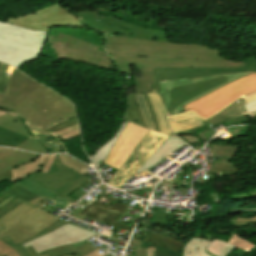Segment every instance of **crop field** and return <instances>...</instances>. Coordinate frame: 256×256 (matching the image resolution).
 <instances>
[{
	"mask_svg": "<svg viewBox=\"0 0 256 256\" xmlns=\"http://www.w3.org/2000/svg\"><path fill=\"white\" fill-rule=\"evenodd\" d=\"M99 251H100V250L97 249V250H95V251H93V252H91V253H89V254H87V255H85V256H103L104 254L107 253V252L103 251L104 253L100 254V253H98ZM101 251H102V250H101Z\"/></svg>",
	"mask_w": 256,
	"mask_h": 256,
	"instance_id": "obj_43",
	"label": "crop field"
},
{
	"mask_svg": "<svg viewBox=\"0 0 256 256\" xmlns=\"http://www.w3.org/2000/svg\"><path fill=\"white\" fill-rule=\"evenodd\" d=\"M58 143V141L55 142L53 139L44 135H36L19 144L16 148L43 153H46L44 148H53V152H59L60 145ZM56 145H58V147H56Z\"/></svg>",
	"mask_w": 256,
	"mask_h": 256,
	"instance_id": "obj_21",
	"label": "crop field"
},
{
	"mask_svg": "<svg viewBox=\"0 0 256 256\" xmlns=\"http://www.w3.org/2000/svg\"><path fill=\"white\" fill-rule=\"evenodd\" d=\"M24 125L19 118L10 115L0 117V145L1 146H16L29 138Z\"/></svg>",
	"mask_w": 256,
	"mask_h": 256,
	"instance_id": "obj_15",
	"label": "crop field"
},
{
	"mask_svg": "<svg viewBox=\"0 0 256 256\" xmlns=\"http://www.w3.org/2000/svg\"><path fill=\"white\" fill-rule=\"evenodd\" d=\"M254 95H256V92H255V93H252V94H250V95H248V96H245V99H246V98H249V97H251V96H254Z\"/></svg>",
	"mask_w": 256,
	"mask_h": 256,
	"instance_id": "obj_48",
	"label": "crop field"
},
{
	"mask_svg": "<svg viewBox=\"0 0 256 256\" xmlns=\"http://www.w3.org/2000/svg\"><path fill=\"white\" fill-rule=\"evenodd\" d=\"M246 71L256 72L255 59H248L246 65L240 66V68H155L152 86L158 92V81L160 80Z\"/></svg>",
	"mask_w": 256,
	"mask_h": 256,
	"instance_id": "obj_11",
	"label": "crop field"
},
{
	"mask_svg": "<svg viewBox=\"0 0 256 256\" xmlns=\"http://www.w3.org/2000/svg\"><path fill=\"white\" fill-rule=\"evenodd\" d=\"M253 106H256V104H253V105H251V106H247L246 109H247V108H250V107H253Z\"/></svg>",
	"mask_w": 256,
	"mask_h": 256,
	"instance_id": "obj_51",
	"label": "crop field"
},
{
	"mask_svg": "<svg viewBox=\"0 0 256 256\" xmlns=\"http://www.w3.org/2000/svg\"><path fill=\"white\" fill-rule=\"evenodd\" d=\"M8 23L33 30L48 32L50 28L64 25L86 27L78 18L71 15L58 4L44 8L38 12L8 18Z\"/></svg>",
	"mask_w": 256,
	"mask_h": 256,
	"instance_id": "obj_7",
	"label": "crop field"
},
{
	"mask_svg": "<svg viewBox=\"0 0 256 256\" xmlns=\"http://www.w3.org/2000/svg\"><path fill=\"white\" fill-rule=\"evenodd\" d=\"M234 247L228 245L226 242L214 239L212 245L207 249V252L215 256H226Z\"/></svg>",
	"mask_w": 256,
	"mask_h": 256,
	"instance_id": "obj_33",
	"label": "crop field"
},
{
	"mask_svg": "<svg viewBox=\"0 0 256 256\" xmlns=\"http://www.w3.org/2000/svg\"><path fill=\"white\" fill-rule=\"evenodd\" d=\"M38 156L37 154L0 148V181L11 178V168L32 161Z\"/></svg>",
	"mask_w": 256,
	"mask_h": 256,
	"instance_id": "obj_16",
	"label": "crop field"
},
{
	"mask_svg": "<svg viewBox=\"0 0 256 256\" xmlns=\"http://www.w3.org/2000/svg\"><path fill=\"white\" fill-rule=\"evenodd\" d=\"M54 135L56 137L63 138L65 140L79 136L80 135L79 126H78V124L74 125L72 127L66 128Z\"/></svg>",
	"mask_w": 256,
	"mask_h": 256,
	"instance_id": "obj_37",
	"label": "crop field"
},
{
	"mask_svg": "<svg viewBox=\"0 0 256 256\" xmlns=\"http://www.w3.org/2000/svg\"><path fill=\"white\" fill-rule=\"evenodd\" d=\"M256 90V73L245 76L227 84L210 94L184 106L185 111L190 110L203 118H208L218 112L227 104L233 102L244 94Z\"/></svg>",
	"mask_w": 256,
	"mask_h": 256,
	"instance_id": "obj_5",
	"label": "crop field"
},
{
	"mask_svg": "<svg viewBox=\"0 0 256 256\" xmlns=\"http://www.w3.org/2000/svg\"><path fill=\"white\" fill-rule=\"evenodd\" d=\"M21 202V200L19 199H14L12 202H10L8 205H6L4 208H2L0 210V217L4 216L6 213H8L9 211H11L14 207H16L17 205H19Z\"/></svg>",
	"mask_w": 256,
	"mask_h": 256,
	"instance_id": "obj_40",
	"label": "crop field"
},
{
	"mask_svg": "<svg viewBox=\"0 0 256 256\" xmlns=\"http://www.w3.org/2000/svg\"><path fill=\"white\" fill-rule=\"evenodd\" d=\"M147 131V129L128 122L104 163L118 170Z\"/></svg>",
	"mask_w": 256,
	"mask_h": 256,
	"instance_id": "obj_12",
	"label": "crop field"
},
{
	"mask_svg": "<svg viewBox=\"0 0 256 256\" xmlns=\"http://www.w3.org/2000/svg\"><path fill=\"white\" fill-rule=\"evenodd\" d=\"M252 73L253 72L223 74L161 81L159 82V95L164 103L167 115L172 116L184 113L183 105L190 103L227 83ZM174 110L177 112L175 113Z\"/></svg>",
	"mask_w": 256,
	"mask_h": 256,
	"instance_id": "obj_2",
	"label": "crop field"
},
{
	"mask_svg": "<svg viewBox=\"0 0 256 256\" xmlns=\"http://www.w3.org/2000/svg\"><path fill=\"white\" fill-rule=\"evenodd\" d=\"M29 78L19 70L14 69L6 95L0 94V107L13 110L41 86Z\"/></svg>",
	"mask_w": 256,
	"mask_h": 256,
	"instance_id": "obj_14",
	"label": "crop field"
},
{
	"mask_svg": "<svg viewBox=\"0 0 256 256\" xmlns=\"http://www.w3.org/2000/svg\"><path fill=\"white\" fill-rule=\"evenodd\" d=\"M127 121H124L120 130L118 131L117 135L111 139L106 145L102 146L97 153L91 157L92 159V163L94 164V166L96 167V169L99 168V166L101 165L102 161L104 160V158L107 156V154L110 152V150L112 149L113 145L115 144V142L117 141L118 137L120 136L123 128L125 127ZM99 162V164H97Z\"/></svg>",
	"mask_w": 256,
	"mask_h": 256,
	"instance_id": "obj_30",
	"label": "crop field"
},
{
	"mask_svg": "<svg viewBox=\"0 0 256 256\" xmlns=\"http://www.w3.org/2000/svg\"><path fill=\"white\" fill-rule=\"evenodd\" d=\"M135 95H136V98H137V101H138V105H139V108L141 110L144 122L146 124V127L149 128V129L155 130L154 124H153V120H152V118L150 116V113L148 111L147 105H146V103L144 101L143 94L141 93V94H135Z\"/></svg>",
	"mask_w": 256,
	"mask_h": 256,
	"instance_id": "obj_34",
	"label": "crop field"
},
{
	"mask_svg": "<svg viewBox=\"0 0 256 256\" xmlns=\"http://www.w3.org/2000/svg\"><path fill=\"white\" fill-rule=\"evenodd\" d=\"M54 156L40 155L36 160L12 169V179H10V182H17L39 171L47 172L54 160Z\"/></svg>",
	"mask_w": 256,
	"mask_h": 256,
	"instance_id": "obj_17",
	"label": "crop field"
},
{
	"mask_svg": "<svg viewBox=\"0 0 256 256\" xmlns=\"http://www.w3.org/2000/svg\"><path fill=\"white\" fill-rule=\"evenodd\" d=\"M246 111H247V113L252 112V111H256V107H253V108L247 109Z\"/></svg>",
	"mask_w": 256,
	"mask_h": 256,
	"instance_id": "obj_47",
	"label": "crop field"
},
{
	"mask_svg": "<svg viewBox=\"0 0 256 256\" xmlns=\"http://www.w3.org/2000/svg\"><path fill=\"white\" fill-rule=\"evenodd\" d=\"M56 220V218L38 209L8 229L0 238L11 236L15 244L21 243L47 228Z\"/></svg>",
	"mask_w": 256,
	"mask_h": 256,
	"instance_id": "obj_13",
	"label": "crop field"
},
{
	"mask_svg": "<svg viewBox=\"0 0 256 256\" xmlns=\"http://www.w3.org/2000/svg\"><path fill=\"white\" fill-rule=\"evenodd\" d=\"M167 135L148 131L132 154L123 163L108 184L121 188L122 185L139 169V167L157 150L167 139Z\"/></svg>",
	"mask_w": 256,
	"mask_h": 256,
	"instance_id": "obj_9",
	"label": "crop field"
},
{
	"mask_svg": "<svg viewBox=\"0 0 256 256\" xmlns=\"http://www.w3.org/2000/svg\"><path fill=\"white\" fill-rule=\"evenodd\" d=\"M237 148L238 147H233V146L210 145V149H216V157L226 156V157L232 158Z\"/></svg>",
	"mask_w": 256,
	"mask_h": 256,
	"instance_id": "obj_36",
	"label": "crop field"
},
{
	"mask_svg": "<svg viewBox=\"0 0 256 256\" xmlns=\"http://www.w3.org/2000/svg\"><path fill=\"white\" fill-rule=\"evenodd\" d=\"M3 114H6V112L0 111V116L3 115ZM10 114H11V115H15V114H13V113H10ZM15 116H17V115H15Z\"/></svg>",
	"mask_w": 256,
	"mask_h": 256,
	"instance_id": "obj_49",
	"label": "crop field"
},
{
	"mask_svg": "<svg viewBox=\"0 0 256 256\" xmlns=\"http://www.w3.org/2000/svg\"><path fill=\"white\" fill-rule=\"evenodd\" d=\"M152 89V92H149L147 94L152 103V107L156 113L158 124L160 126V132L170 134V126L168 124L167 116L164 112L162 103L157 95L156 90L153 87Z\"/></svg>",
	"mask_w": 256,
	"mask_h": 256,
	"instance_id": "obj_26",
	"label": "crop field"
},
{
	"mask_svg": "<svg viewBox=\"0 0 256 256\" xmlns=\"http://www.w3.org/2000/svg\"><path fill=\"white\" fill-rule=\"evenodd\" d=\"M26 125H27V127L29 128V130L35 135V134H44V135H46V136H48V137H50L51 135H49V134H47V133H45V132H42L40 129H38V128H36V127H34V126H32L29 122H24Z\"/></svg>",
	"mask_w": 256,
	"mask_h": 256,
	"instance_id": "obj_41",
	"label": "crop field"
},
{
	"mask_svg": "<svg viewBox=\"0 0 256 256\" xmlns=\"http://www.w3.org/2000/svg\"><path fill=\"white\" fill-rule=\"evenodd\" d=\"M35 209L36 208L25 202L17 206L15 209L0 219V234H2L11 225L15 224Z\"/></svg>",
	"mask_w": 256,
	"mask_h": 256,
	"instance_id": "obj_25",
	"label": "crop field"
},
{
	"mask_svg": "<svg viewBox=\"0 0 256 256\" xmlns=\"http://www.w3.org/2000/svg\"><path fill=\"white\" fill-rule=\"evenodd\" d=\"M255 99H256V96L251 97V98H249V99H246V100H245V103H246V102H249V101H252V100H255Z\"/></svg>",
	"mask_w": 256,
	"mask_h": 256,
	"instance_id": "obj_46",
	"label": "crop field"
},
{
	"mask_svg": "<svg viewBox=\"0 0 256 256\" xmlns=\"http://www.w3.org/2000/svg\"><path fill=\"white\" fill-rule=\"evenodd\" d=\"M249 242L232 233V236L228 243L237 248L249 251L255 247L254 244L249 243Z\"/></svg>",
	"mask_w": 256,
	"mask_h": 256,
	"instance_id": "obj_35",
	"label": "crop field"
},
{
	"mask_svg": "<svg viewBox=\"0 0 256 256\" xmlns=\"http://www.w3.org/2000/svg\"><path fill=\"white\" fill-rule=\"evenodd\" d=\"M183 144L185 143L182 140L169 136V138L164 141V143L158 148V150L140 167V169L136 173L151 168L153 165L167 157L169 154L177 150Z\"/></svg>",
	"mask_w": 256,
	"mask_h": 256,
	"instance_id": "obj_18",
	"label": "crop field"
},
{
	"mask_svg": "<svg viewBox=\"0 0 256 256\" xmlns=\"http://www.w3.org/2000/svg\"><path fill=\"white\" fill-rule=\"evenodd\" d=\"M14 111L42 129L65 116L74 114L75 107L66 98L42 85Z\"/></svg>",
	"mask_w": 256,
	"mask_h": 256,
	"instance_id": "obj_4",
	"label": "crop field"
},
{
	"mask_svg": "<svg viewBox=\"0 0 256 256\" xmlns=\"http://www.w3.org/2000/svg\"><path fill=\"white\" fill-rule=\"evenodd\" d=\"M15 197L10 196L7 199H5L3 202L0 203V208H2L3 206H5L6 204H8L10 201H12Z\"/></svg>",
	"mask_w": 256,
	"mask_h": 256,
	"instance_id": "obj_44",
	"label": "crop field"
},
{
	"mask_svg": "<svg viewBox=\"0 0 256 256\" xmlns=\"http://www.w3.org/2000/svg\"><path fill=\"white\" fill-rule=\"evenodd\" d=\"M153 69L154 68H138V70L141 72V78L134 76L135 91H136V93H140V92L144 93L145 101L148 105V108L150 110V113H151L154 123H155V128L157 131H159V126L157 124L154 111L151 107V103L146 94V92L151 91V84H152V80H153ZM141 84H143V85H141Z\"/></svg>",
	"mask_w": 256,
	"mask_h": 256,
	"instance_id": "obj_19",
	"label": "crop field"
},
{
	"mask_svg": "<svg viewBox=\"0 0 256 256\" xmlns=\"http://www.w3.org/2000/svg\"><path fill=\"white\" fill-rule=\"evenodd\" d=\"M106 49L120 71L137 67H239L245 62H225L217 50L196 44H175L107 36Z\"/></svg>",
	"mask_w": 256,
	"mask_h": 256,
	"instance_id": "obj_1",
	"label": "crop field"
},
{
	"mask_svg": "<svg viewBox=\"0 0 256 256\" xmlns=\"http://www.w3.org/2000/svg\"><path fill=\"white\" fill-rule=\"evenodd\" d=\"M110 225H113V226H116V227H119V228H122V229H125V230H128V231H132V227H129V226H125V225H122V224H119V223H116V222H114V221H112L111 223H110Z\"/></svg>",
	"mask_w": 256,
	"mask_h": 256,
	"instance_id": "obj_42",
	"label": "crop field"
},
{
	"mask_svg": "<svg viewBox=\"0 0 256 256\" xmlns=\"http://www.w3.org/2000/svg\"><path fill=\"white\" fill-rule=\"evenodd\" d=\"M0 256H19L9 245L0 240Z\"/></svg>",
	"mask_w": 256,
	"mask_h": 256,
	"instance_id": "obj_39",
	"label": "crop field"
},
{
	"mask_svg": "<svg viewBox=\"0 0 256 256\" xmlns=\"http://www.w3.org/2000/svg\"><path fill=\"white\" fill-rule=\"evenodd\" d=\"M212 241L190 238L183 249L182 256H209L204 251L211 245Z\"/></svg>",
	"mask_w": 256,
	"mask_h": 256,
	"instance_id": "obj_28",
	"label": "crop field"
},
{
	"mask_svg": "<svg viewBox=\"0 0 256 256\" xmlns=\"http://www.w3.org/2000/svg\"><path fill=\"white\" fill-rule=\"evenodd\" d=\"M132 237L150 242L155 245L163 246V247H166L170 250L177 251V252H180L183 247V242H181L177 239L170 238V237L160 235L157 233H153V232H151L149 234L143 233L142 236L133 234Z\"/></svg>",
	"mask_w": 256,
	"mask_h": 256,
	"instance_id": "obj_24",
	"label": "crop field"
},
{
	"mask_svg": "<svg viewBox=\"0 0 256 256\" xmlns=\"http://www.w3.org/2000/svg\"><path fill=\"white\" fill-rule=\"evenodd\" d=\"M254 113H256V112H252V114H254Z\"/></svg>",
	"mask_w": 256,
	"mask_h": 256,
	"instance_id": "obj_52",
	"label": "crop field"
},
{
	"mask_svg": "<svg viewBox=\"0 0 256 256\" xmlns=\"http://www.w3.org/2000/svg\"><path fill=\"white\" fill-rule=\"evenodd\" d=\"M98 247L88 243L80 246L73 247L72 244L65 245L61 247H57L54 249H51L47 251L51 256H63V255H69V254H77L78 256H84L85 254L91 252L92 250L96 249ZM46 252H41L40 254H43Z\"/></svg>",
	"mask_w": 256,
	"mask_h": 256,
	"instance_id": "obj_27",
	"label": "crop field"
},
{
	"mask_svg": "<svg viewBox=\"0 0 256 256\" xmlns=\"http://www.w3.org/2000/svg\"><path fill=\"white\" fill-rule=\"evenodd\" d=\"M136 256H145V250L138 247Z\"/></svg>",
	"mask_w": 256,
	"mask_h": 256,
	"instance_id": "obj_45",
	"label": "crop field"
},
{
	"mask_svg": "<svg viewBox=\"0 0 256 256\" xmlns=\"http://www.w3.org/2000/svg\"><path fill=\"white\" fill-rule=\"evenodd\" d=\"M26 250L31 254V256H34L28 248H26Z\"/></svg>",
	"mask_w": 256,
	"mask_h": 256,
	"instance_id": "obj_50",
	"label": "crop field"
},
{
	"mask_svg": "<svg viewBox=\"0 0 256 256\" xmlns=\"http://www.w3.org/2000/svg\"><path fill=\"white\" fill-rule=\"evenodd\" d=\"M126 208V205L114 202L109 210L94 206L84 216L109 224L111 220L116 221Z\"/></svg>",
	"mask_w": 256,
	"mask_h": 256,
	"instance_id": "obj_22",
	"label": "crop field"
},
{
	"mask_svg": "<svg viewBox=\"0 0 256 256\" xmlns=\"http://www.w3.org/2000/svg\"><path fill=\"white\" fill-rule=\"evenodd\" d=\"M77 123H78V122H77V119H76V118H73V119L68 120V121H66V122H63V123H61V124H58V125H56V126L50 128V129H48V130H46V131L49 132V133H51V134H53V133H55V132H58V131H60V130H62V129H64V128H66V127L72 126V125L77 124Z\"/></svg>",
	"mask_w": 256,
	"mask_h": 256,
	"instance_id": "obj_38",
	"label": "crop field"
},
{
	"mask_svg": "<svg viewBox=\"0 0 256 256\" xmlns=\"http://www.w3.org/2000/svg\"><path fill=\"white\" fill-rule=\"evenodd\" d=\"M130 244L146 249V251H148V254H146V256H151V254H154V256H180V253H176L163 247L155 246L133 238L131 239Z\"/></svg>",
	"mask_w": 256,
	"mask_h": 256,
	"instance_id": "obj_29",
	"label": "crop field"
},
{
	"mask_svg": "<svg viewBox=\"0 0 256 256\" xmlns=\"http://www.w3.org/2000/svg\"><path fill=\"white\" fill-rule=\"evenodd\" d=\"M237 101V103H235V101L225 109L215 114L208 121H206L205 123L207 124V126L211 123L217 125L221 122L228 121L246 114L243 108V98H239Z\"/></svg>",
	"mask_w": 256,
	"mask_h": 256,
	"instance_id": "obj_23",
	"label": "crop field"
},
{
	"mask_svg": "<svg viewBox=\"0 0 256 256\" xmlns=\"http://www.w3.org/2000/svg\"><path fill=\"white\" fill-rule=\"evenodd\" d=\"M27 178L64 198L88 180L85 176L62 166L57 155L47 173L40 172Z\"/></svg>",
	"mask_w": 256,
	"mask_h": 256,
	"instance_id": "obj_8",
	"label": "crop field"
},
{
	"mask_svg": "<svg viewBox=\"0 0 256 256\" xmlns=\"http://www.w3.org/2000/svg\"><path fill=\"white\" fill-rule=\"evenodd\" d=\"M129 105L126 114V119L145 127L140 110L138 108L134 94L128 95Z\"/></svg>",
	"mask_w": 256,
	"mask_h": 256,
	"instance_id": "obj_32",
	"label": "crop field"
},
{
	"mask_svg": "<svg viewBox=\"0 0 256 256\" xmlns=\"http://www.w3.org/2000/svg\"><path fill=\"white\" fill-rule=\"evenodd\" d=\"M47 34L0 22V61L18 68L37 59Z\"/></svg>",
	"mask_w": 256,
	"mask_h": 256,
	"instance_id": "obj_3",
	"label": "crop field"
},
{
	"mask_svg": "<svg viewBox=\"0 0 256 256\" xmlns=\"http://www.w3.org/2000/svg\"><path fill=\"white\" fill-rule=\"evenodd\" d=\"M66 224H68V223H65V222H62V221L58 220L55 223H53L51 226H49L47 229H45L44 231L38 233L36 236H34L33 238L27 240L26 242H28V241L36 238V237H39L41 235H44V234H46V233H48V232H50V231H52L54 229H57V228H59L61 226H64ZM1 240L5 241L7 244H9L11 247H13L21 256H30V254L22 247L21 244H23V243L15 245L14 242L12 241L11 237L3 238Z\"/></svg>",
	"mask_w": 256,
	"mask_h": 256,
	"instance_id": "obj_31",
	"label": "crop field"
},
{
	"mask_svg": "<svg viewBox=\"0 0 256 256\" xmlns=\"http://www.w3.org/2000/svg\"><path fill=\"white\" fill-rule=\"evenodd\" d=\"M169 121L174 133L206 126L196 114L191 112L170 117Z\"/></svg>",
	"mask_w": 256,
	"mask_h": 256,
	"instance_id": "obj_20",
	"label": "crop field"
},
{
	"mask_svg": "<svg viewBox=\"0 0 256 256\" xmlns=\"http://www.w3.org/2000/svg\"><path fill=\"white\" fill-rule=\"evenodd\" d=\"M89 26L104 31L107 35L127 36L169 42L166 31L145 29L129 24L116 17L102 16L96 11L77 12Z\"/></svg>",
	"mask_w": 256,
	"mask_h": 256,
	"instance_id": "obj_6",
	"label": "crop field"
},
{
	"mask_svg": "<svg viewBox=\"0 0 256 256\" xmlns=\"http://www.w3.org/2000/svg\"><path fill=\"white\" fill-rule=\"evenodd\" d=\"M97 233L89 232L83 229L76 228L70 224L52 231L49 234L41 236L31 242L23 244V247L31 246L37 253L46 251L60 245L69 243H77L86 240Z\"/></svg>",
	"mask_w": 256,
	"mask_h": 256,
	"instance_id": "obj_10",
	"label": "crop field"
}]
</instances>
